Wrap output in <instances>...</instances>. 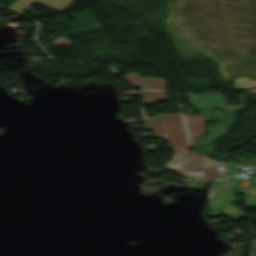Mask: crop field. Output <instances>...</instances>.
I'll return each instance as SVG.
<instances>
[{
	"mask_svg": "<svg viewBox=\"0 0 256 256\" xmlns=\"http://www.w3.org/2000/svg\"><path fill=\"white\" fill-rule=\"evenodd\" d=\"M216 188L221 189L225 192V196L228 200L231 202L237 201L236 197L233 195L228 183L226 184H221V185H215Z\"/></svg>",
	"mask_w": 256,
	"mask_h": 256,
	"instance_id": "10",
	"label": "crop field"
},
{
	"mask_svg": "<svg viewBox=\"0 0 256 256\" xmlns=\"http://www.w3.org/2000/svg\"><path fill=\"white\" fill-rule=\"evenodd\" d=\"M174 151L175 155L173 159L169 163L165 164L166 168L171 169L173 171L189 168L193 166L195 163H199L206 160V158L197 155L189 150ZM218 165L219 164H217L216 162L208 160L204 163L196 165L194 168L190 170L177 171V173L185 178L191 176L197 177L204 184H207L217 178L226 176L224 171H218Z\"/></svg>",
	"mask_w": 256,
	"mask_h": 256,
	"instance_id": "1",
	"label": "crop field"
},
{
	"mask_svg": "<svg viewBox=\"0 0 256 256\" xmlns=\"http://www.w3.org/2000/svg\"><path fill=\"white\" fill-rule=\"evenodd\" d=\"M133 95H142L144 104H153L168 101L164 92L139 90L135 91Z\"/></svg>",
	"mask_w": 256,
	"mask_h": 256,
	"instance_id": "7",
	"label": "crop field"
},
{
	"mask_svg": "<svg viewBox=\"0 0 256 256\" xmlns=\"http://www.w3.org/2000/svg\"><path fill=\"white\" fill-rule=\"evenodd\" d=\"M74 0H16L13 2L8 8L21 13L25 7H28L35 2L44 5L50 9H53L57 12H61L64 8H66L69 4H71ZM7 8V9H8Z\"/></svg>",
	"mask_w": 256,
	"mask_h": 256,
	"instance_id": "3",
	"label": "crop field"
},
{
	"mask_svg": "<svg viewBox=\"0 0 256 256\" xmlns=\"http://www.w3.org/2000/svg\"><path fill=\"white\" fill-rule=\"evenodd\" d=\"M145 89L165 90V81L159 78H141Z\"/></svg>",
	"mask_w": 256,
	"mask_h": 256,
	"instance_id": "8",
	"label": "crop field"
},
{
	"mask_svg": "<svg viewBox=\"0 0 256 256\" xmlns=\"http://www.w3.org/2000/svg\"><path fill=\"white\" fill-rule=\"evenodd\" d=\"M211 188V209L220 208L224 210L226 215L245 217L244 213L239 208L225 198L223 191H220L213 186Z\"/></svg>",
	"mask_w": 256,
	"mask_h": 256,
	"instance_id": "4",
	"label": "crop field"
},
{
	"mask_svg": "<svg viewBox=\"0 0 256 256\" xmlns=\"http://www.w3.org/2000/svg\"><path fill=\"white\" fill-rule=\"evenodd\" d=\"M126 79H127V81L130 83V84H132V85H134V86H138V84H139V87L138 88H142V89H144L143 88V85H142V82H141V79H140V76L136 73V72H134V73H130V74H126V75H123Z\"/></svg>",
	"mask_w": 256,
	"mask_h": 256,
	"instance_id": "9",
	"label": "crop field"
},
{
	"mask_svg": "<svg viewBox=\"0 0 256 256\" xmlns=\"http://www.w3.org/2000/svg\"><path fill=\"white\" fill-rule=\"evenodd\" d=\"M182 112L147 117L154 136L168 135L172 148H187Z\"/></svg>",
	"mask_w": 256,
	"mask_h": 256,
	"instance_id": "2",
	"label": "crop field"
},
{
	"mask_svg": "<svg viewBox=\"0 0 256 256\" xmlns=\"http://www.w3.org/2000/svg\"><path fill=\"white\" fill-rule=\"evenodd\" d=\"M229 179H230V183H231L232 187L235 189V191L241 192L244 194L248 205L251 207H256V182L254 183L255 185H253L251 187L238 188L236 183L240 178H229Z\"/></svg>",
	"mask_w": 256,
	"mask_h": 256,
	"instance_id": "6",
	"label": "crop field"
},
{
	"mask_svg": "<svg viewBox=\"0 0 256 256\" xmlns=\"http://www.w3.org/2000/svg\"><path fill=\"white\" fill-rule=\"evenodd\" d=\"M189 133L190 147L204 133L202 115L184 116Z\"/></svg>",
	"mask_w": 256,
	"mask_h": 256,
	"instance_id": "5",
	"label": "crop field"
}]
</instances>
